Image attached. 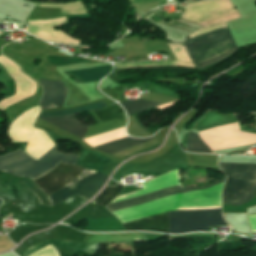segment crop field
Returning <instances> with one entry per match:
<instances>
[{
    "label": "crop field",
    "instance_id": "8a807250",
    "mask_svg": "<svg viewBox=\"0 0 256 256\" xmlns=\"http://www.w3.org/2000/svg\"><path fill=\"white\" fill-rule=\"evenodd\" d=\"M225 178L211 183L205 187L200 188H191V189H180V178L178 176V171H172L160 177H157L148 183L141 184L143 189L136 190L124 195H121L113 200L112 203L126 200L129 198L141 196L144 194H148L145 196L129 199L126 201L110 204L107 206L108 210L161 200L165 198L220 188L223 185ZM220 189L170 198L166 200L111 210V212L116 215V217L121 221L122 224L128 223L131 221H135L138 219H142L145 217L153 216L156 214H160L167 211L177 210V207H209V206H217L221 205ZM126 231H134V230H143V231H151V232H163L168 233V212L160 215H156L153 217H149L146 219L138 220L135 222H131L123 225Z\"/></svg>",
    "mask_w": 256,
    "mask_h": 256
},
{
    "label": "crop field",
    "instance_id": "ac0d7876",
    "mask_svg": "<svg viewBox=\"0 0 256 256\" xmlns=\"http://www.w3.org/2000/svg\"><path fill=\"white\" fill-rule=\"evenodd\" d=\"M107 105L101 102H96L88 105H84L81 107H77L74 109L68 110H60L53 112H41L38 117H52V116H62V115H71L77 113H84L92 110H96L99 108L106 107ZM93 114L99 120L100 123L92 125V126H83L81 125L74 116H62V117H52V118H41L79 138H82L84 131L85 134L83 138L90 137L96 134H100L106 131H110L116 128H120L124 126L125 118L121 112V107L117 104L109 106L107 108L99 109L93 111ZM97 120V121H98ZM82 138V139H83ZM156 140V138L150 137L147 139H132V138H124L114 142H110L101 146L94 147L100 151H103L107 154H115L135 146Z\"/></svg>",
    "mask_w": 256,
    "mask_h": 256
},
{
    "label": "crop field",
    "instance_id": "34b2d1b8",
    "mask_svg": "<svg viewBox=\"0 0 256 256\" xmlns=\"http://www.w3.org/2000/svg\"><path fill=\"white\" fill-rule=\"evenodd\" d=\"M83 170L84 168L76 165L60 163L49 173L33 182L48 195L67 186L76 179ZM107 177V175L85 169L79 177L67 187L48 195L50 204L54 206L74 194L88 201L101 188Z\"/></svg>",
    "mask_w": 256,
    "mask_h": 256
},
{
    "label": "crop field",
    "instance_id": "412701ff",
    "mask_svg": "<svg viewBox=\"0 0 256 256\" xmlns=\"http://www.w3.org/2000/svg\"><path fill=\"white\" fill-rule=\"evenodd\" d=\"M183 45L197 69L214 64L237 49L228 27L188 39Z\"/></svg>",
    "mask_w": 256,
    "mask_h": 256
},
{
    "label": "crop field",
    "instance_id": "f4fd0767",
    "mask_svg": "<svg viewBox=\"0 0 256 256\" xmlns=\"http://www.w3.org/2000/svg\"><path fill=\"white\" fill-rule=\"evenodd\" d=\"M78 156L58 153L56 148L38 162L29 158L20 148L0 156V170L34 180L53 169L60 162L75 164Z\"/></svg>",
    "mask_w": 256,
    "mask_h": 256
},
{
    "label": "crop field",
    "instance_id": "dd49c442",
    "mask_svg": "<svg viewBox=\"0 0 256 256\" xmlns=\"http://www.w3.org/2000/svg\"><path fill=\"white\" fill-rule=\"evenodd\" d=\"M219 167L228 176L222 193L223 204L240 206L256 196V165L219 163Z\"/></svg>",
    "mask_w": 256,
    "mask_h": 256
},
{
    "label": "crop field",
    "instance_id": "e52e79f7",
    "mask_svg": "<svg viewBox=\"0 0 256 256\" xmlns=\"http://www.w3.org/2000/svg\"><path fill=\"white\" fill-rule=\"evenodd\" d=\"M220 225H227L221 216V209L169 212V233L171 234L209 231V226Z\"/></svg>",
    "mask_w": 256,
    "mask_h": 256
},
{
    "label": "crop field",
    "instance_id": "d8731c3e",
    "mask_svg": "<svg viewBox=\"0 0 256 256\" xmlns=\"http://www.w3.org/2000/svg\"><path fill=\"white\" fill-rule=\"evenodd\" d=\"M44 94L40 105L44 109L62 107L67 94L66 88L61 82L41 80ZM43 109V110H44Z\"/></svg>",
    "mask_w": 256,
    "mask_h": 256
},
{
    "label": "crop field",
    "instance_id": "5a996713",
    "mask_svg": "<svg viewBox=\"0 0 256 256\" xmlns=\"http://www.w3.org/2000/svg\"><path fill=\"white\" fill-rule=\"evenodd\" d=\"M120 103L124 107L128 116L155 107V106H152V105H149V104L137 101V100L123 101ZM127 131L129 133V135L134 136V137L151 136V134L147 133L146 131H144L143 129H141L138 126L134 116L129 118Z\"/></svg>",
    "mask_w": 256,
    "mask_h": 256
},
{
    "label": "crop field",
    "instance_id": "3316defc",
    "mask_svg": "<svg viewBox=\"0 0 256 256\" xmlns=\"http://www.w3.org/2000/svg\"><path fill=\"white\" fill-rule=\"evenodd\" d=\"M146 241L142 232L120 233V234H90L88 233L84 242L91 243H110V242H133Z\"/></svg>",
    "mask_w": 256,
    "mask_h": 256
},
{
    "label": "crop field",
    "instance_id": "28ad6ade",
    "mask_svg": "<svg viewBox=\"0 0 256 256\" xmlns=\"http://www.w3.org/2000/svg\"><path fill=\"white\" fill-rule=\"evenodd\" d=\"M134 0H129V2H132ZM165 0H139L137 2L132 3V7L135 9V11L138 13L139 17L143 15L144 13L152 10L156 6H158L160 3H162ZM175 3L174 0H166L161 5L165 4H172Z\"/></svg>",
    "mask_w": 256,
    "mask_h": 256
},
{
    "label": "crop field",
    "instance_id": "d1516ede",
    "mask_svg": "<svg viewBox=\"0 0 256 256\" xmlns=\"http://www.w3.org/2000/svg\"><path fill=\"white\" fill-rule=\"evenodd\" d=\"M123 186L117 184L114 187L106 185L105 189L93 200L92 203H96L101 206H106L114 197L122 191Z\"/></svg>",
    "mask_w": 256,
    "mask_h": 256
},
{
    "label": "crop field",
    "instance_id": "22f410ed",
    "mask_svg": "<svg viewBox=\"0 0 256 256\" xmlns=\"http://www.w3.org/2000/svg\"><path fill=\"white\" fill-rule=\"evenodd\" d=\"M186 149L191 152H209L212 153V151L209 149L208 146H206L200 139L199 135L190 132L189 138L187 141Z\"/></svg>",
    "mask_w": 256,
    "mask_h": 256
},
{
    "label": "crop field",
    "instance_id": "cbeb9de0",
    "mask_svg": "<svg viewBox=\"0 0 256 256\" xmlns=\"http://www.w3.org/2000/svg\"><path fill=\"white\" fill-rule=\"evenodd\" d=\"M22 182H24L29 189L36 194L43 205L50 206L46 195L29 178L22 180Z\"/></svg>",
    "mask_w": 256,
    "mask_h": 256
},
{
    "label": "crop field",
    "instance_id": "5142ce71",
    "mask_svg": "<svg viewBox=\"0 0 256 256\" xmlns=\"http://www.w3.org/2000/svg\"><path fill=\"white\" fill-rule=\"evenodd\" d=\"M252 233L256 232V214L247 215Z\"/></svg>",
    "mask_w": 256,
    "mask_h": 256
},
{
    "label": "crop field",
    "instance_id": "d9b57169",
    "mask_svg": "<svg viewBox=\"0 0 256 256\" xmlns=\"http://www.w3.org/2000/svg\"><path fill=\"white\" fill-rule=\"evenodd\" d=\"M176 2H177V0H176Z\"/></svg>",
    "mask_w": 256,
    "mask_h": 256
}]
</instances>
